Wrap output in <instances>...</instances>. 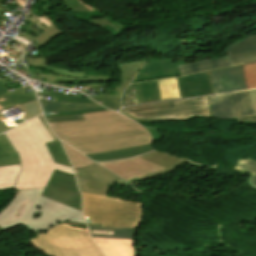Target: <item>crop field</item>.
Listing matches in <instances>:
<instances>
[{"mask_svg":"<svg viewBox=\"0 0 256 256\" xmlns=\"http://www.w3.org/2000/svg\"><path fill=\"white\" fill-rule=\"evenodd\" d=\"M209 98L214 118L231 116L226 94L216 95V98H213L212 95Z\"/></svg>","mask_w":256,"mask_h":256,"instance_id":"obj_27","label":"crop field"},{"mask_svg":"<svg viewBox=\"0 0 256 256\" xmlns=\"http://www.w3.org/2000/svg\"><path fill=\"white\" fill-rule=\"evenodd\" d=\"M83 117L49 125L59 139L84 155L153 143L147 130L112 110Z\"/></svg>","mask_w":256,"mask_h":256,"instance_id":"obj_1","label":"crop field"},{"mask_svg":"<svg viewBox=\"0 0 256 256\" xmlns=\"http://www.w3.org/2000/svg\"><path fill=\"white\" fill-rule=\"evenodd\" d=\"M42 68L46 69L50 73L45 75V73H40V70L35 69L33 71H36L37 73L31 78L32 80L51 83L53 80L59 81L65 79L67 83L76 85L87 83L91 88L108 87L107 82L112 80V76L85 75V72H73L68 69L56 68L51 65H46Z\"/></svg>","mask_w":256,"mask_h":256,"instance_id":"obj_11","label":"crop field"},{"mask_svg":"<svg viewBox=\"0 0 256 256\" xmlns=\"http://www.w3.org/2000/svg\"><path fill=\"white\" fill-rule=\"evenodd\" d=\"M177 75H180L178 70L162 72V73H155V74H148V75H140V76H136V78L134 79V81L132 83L142 81V80L155 79V78H161V77H169V76H177Z\"/></svg>","mask_w":256,"mask_h":256,"instance_id":"obj_37","label":"crop field"},{"mask_svg":"<svg viewBox=\"0 0 256 256\" xmlns=\"http://www.w3.org/2000/svg\"><path fill=\"white\" fill-rule=\"evenodd\" d=\"M9 84H11V81H9V82L6 83V85H9Z\"/></svg>","mask_w":256,"mask_h":256,"instance_id":"obj_50","label":"crop field"},{"mask_svg":"<svg viewBox=\"0 0 256 256\" xmlns=\"http://www.w3.org/2000/svg\"><path fill=\"white\" fill-rule=\"evenodd\" d=\"M249 89L256 88V62L244 64Z\"/></svg>","mask_w":256,"mask_h":256,"instance_id":"obj_36","label":"crop field"},{"mask_svg":"<svg viewBox=\"0 0 256 256\" xmlns=\"http://www.w3.org/2000/svg\"><path fill=\"white\" fill-rule=\"evenodd\" d=\"M179 81L182 98L212 94L207 72L180 77Z\"/></svg>","mask_w":256,"mask_h":256,"instance_id":"obj_15","label":"crop field"},{"mask_svg":"<svg viewBox=\"0 0 256 256\" xmlns=\"http://www.w3.org/2000/svg\"><path fill=\"white\" fill-rule=\"evenodd\" d=\"M5 134L22 159L23 171L13 189L45 187L54 169L73 173L71 167L53 162L44 144L53 138L38 117Z\"/></svg>","mask_w":256,"mask_h":256,"instance_id":"obj_2","label":"crop field"},{"mask_svg":"<svg viewBox=\"0 0 256 256\" xmlns=\"http://www.w3.org/2000/svg\"><path fill=\"white\" fill-rule=\"evenodd\" d=\"M235 168H239L256 174V160L250 158H247L246 161L238 159Z\"/></svg>","mask_w":256,"mask_h":256,"instance_id":"obj_38","label":"crop field"},{"mask_svg":"<svg viewBox=\"0 0 256 256\" xmlns=\"http://www.w3.org/2000/svg\"><path fill=\"white\" fill-rule=\"evenodd\" d=\"M62 144H63L71 162H72L73 169L87 167L88 165L94 163L91 160L84 157L82 154H80L75 149L66 145L65 143L62 142Z\"/></svg>","mask_w":256,"mask_h":256,"instance_id":"obj_32","label":"crop field"},{"mask_svg":"<svg viewBox=\"0 0 256 256\" xmlns=\"http://www.w3.org/2000/svg\"><path fill=\"white\" fill-rule=\"evenodd\" d=\"M8 10H9L8 8H6L5 6L0 4V12H2V13L7 12L8 13L9 12Z\"/></svg>","mask_w":256,"mask_h":256,"instance_id":"obj_48","label":"crop field"},{"mask_svg":"<svg viewBox=\"0 0 256 256\" xmlns=\"http://www.w3.org/2000/svg\"><path fill=\"white\" fill-rule=\"evenodd\" d=\"M149 133L152 135L154 141L161 140L162 136L158 130H149Z\"/></svg>","mask_w":256,"mask_h":256,"instance_id":"obj_45","label":"crop field"},{"mask_svg":"<svg viewBox=\"0 0 256 256\" xmlns=\"http://www.w3.org/2000/svg\"><path fill=\"white\" fill-rule=\"evenodd\" d=\"M79 119H83L82 115L46 118L48 123L61 122V121H70V120H79Z\"/></svg>","mask_w":256,"mask_h":256,"instance_id":"obj_40","label":"crop field"},{"mask_svg":"<svg viewBox=\"0 0 256 256\" xmlns=\"http://www.w3.org/2000/svg\"><path fill=\"white\" fill-rule=\"evenodd\" d=\"M3 18H5V16L0 15V21H1Z\"/></svg>","mask_w":256,"mask_h":256,"instance_id":"obj_49","label":"crop field"},{"mask_svg":"<svg viewBox=\"0 0 256 256\" xmlns=\"http://www.w3.org/2000/svg\"><path fill=\"white\" fill-rule=\"evenodd\" d=\"M99 164L127 182L132 178H137L141 181L171 171V169L150 163L138 157L120 161L101 162Z\"/></svg>","mask_w":256,"mask_h":256,"instance_id":"obj_8","label":"crop field"},{"mask_svg":"<svg viewBox=\"0 0 256 256\" xmlns=\"http://www.w3.org/2000/svg\"><path fill=\"white\" fill-rule=\"evenodd\" d=\"M91 237L106 256H135L137 228L89 227Z\"/></svg>","mask_w":256,"mask_h":256,"instance_id":"obj_7","label":"crop field"},{"mask_svg":"<svg viewBox=\"0 0 256 256\" xmlns=\"http://www.w3.org/2000/svg\"><path fill=\"white\" fill-rule=\"evenodd\" d=\"M41 13L44 16L38 17L36 19L39 21V23L43 22L44 24H46L49 27V29L34 40L39 45H41V44L45 45V44L49 43L51 40H53L54 38L60 36L61 34L65 33V32H63L60 28H58L52 22L51 18L46 17V15L43 13V11H41Z\"/></svg>","mask_w":256,"mask_h":256,"instance_id":"obj_25","label":"crop field"},{"mask_svg":"<svg viewBox=\"0 0 256 256\" xmlns=\"http://www.w3.org/2000/svg\"><path fill=\"white\" fill-rule=\"evenodd\" d=\"M249 185L256 189V175H251L249 178Z\"/></svg>","mask_w":256,"mask_h":256,"instance_id":"obj_46","label":"crop field"},{"mask_svg":"<svg viewBox=\"0 0 256 256\" xmlns=\"http://www.w3.org/2000/svg\"><path fill=\"white\" fill-rule=\"evenodd\" d=\"M232 116L253 114L248 90L227 94Z\"/></svg>","mask_w":256,"mask_h":256,"instance_id":"obj_18","label":"crop field"},{"mask_svg":"<svg viewBox=\"0 0 256 256\" xmlns=\"http://www.w3.org/2000/svg\"><path fill=\"white\" fill-rule=\"evenodd\" d=\"M120 113L136 122L212 117L208 96L126 107Z\"/></svg>","mask_w":256,"mask_h":256,"instance_id":"obj_6","label":"crop field"},{"mask_svg":"<svg viewBox=\"0 0 256 256\" xmlns=\"http://www.w3.org/2000/svg\"><path fill=\"white\" fill-rule=\"evenodd\" d=\"M78 188L81 192L107 196L108 185L77 178Z\"/></svg>","mask_w":256,"mask_h":256,"instance_id":"obj_30","label":"crop field"},{"mask_svg":"<svg viewBox=\"0 0 256 256\" xmlns=\"http://www.w3.org/2000/svg\"><path fill=\"white\" fill-rule=\"evenodd\" d=\"M136 85L140 104L159 101L154 81Z\"/></svg>","mask_w":256,"mask_h":256,"instance_id":"obj_29","label":"crop field"},{"mask_svg":"<svg viewBox=\"0 0 256 256\" xmlns=\"http://www.w3.org/2000/svg\"><path fill=\"white\" fill-rule=\"evenodd\" d=\"M249 92H250V98H251L253 112H254V114H256V89L249 90Z\"/></svg>","mask_w":256,"mask_h":256,"instance_id":"obj_43","label":"crop field"},{"mask_svg":"<svg viewBox=\"0 0 256 256\" xmlns=\"http://www.w3.org/2000/svg\"><path fill=\"white\" fill-rule=\"evenodd\" d=\"M76 176L106 183L108 185L114 184L116 176L110 174L104 168L97 164H92L87 168L74 170Z\"/></svg>","mask_w":256,"mask_h":256,"instance_id":"obj_19","label":"crop field"},{"mask_svg":"<svg viewBox=\"0 0 256 256\" xmlns=\"http://www.w3.org/2000/svg\"><path fill=\"white\" fill-rule=\"evenodd\" d=\"M226 53L232 65L256 61V35L228 45Z\"/></svg>","mask_w":256,"mask_h":256,"instance_id":"obj_14","label":"crop field"},{"mask_svg":"<svg viewBox=\"0 0 256 256\" xmlns=\"http://www.w3.org/2000/svg\"><path fill=\"white\" fill-rule=\"evenodd\" d=\"M40 7L46 14H50V8L52 6V2L49 0H39ZM64 7L66 10L72 11H92L93 9L89 8L85 5L81 0H63Z\"/></svg>","mask_w":256,"mask_h":256,"instance_id":"obj_31","label":"crop field"},{"mask_svg":"<svg viewBox=\"0 0 256 256\" xmlns=\"http://www.w3.org/2000/svg\"><path fill=\"white\" fill-rule=\"evenodd\" d=\"M30 242L48 256H104L87 229L71 227L66 224L45 232Z\"/></svg>","mask_w":256,"mask_h":256,"instance_id":"obj_5","label":"crop field"},{"mask_svg":"<svg viewBox=\"0 0 256 256\" xmlns=\"http://www.w3.org/2000/svg\"><path fill=\"white\" fill-rule=\"evenodd\" d=\"M43 190H20L0 212V227L22 224L39 235L67 220L85 224L81 211L40 196Z\"/></svg>","mask_w":256,"mask_h":256,"instance_id":"obj_3","label":"crop field"},{"mask_svg":"<svg viewBox=\"0 0 256 256\" xmlns=\"http://www.w3.org/2000/svg\"><path fill=\"white\" fill-rule=\"evenodd\" d=\"M44 113L58 112V111H71V110H85L100 108L96 104H74V103H60L52 101H40Z\"/></svg>","mask_w":256,"mask_h":256,"instance_id":"obj_21","label":"crop field"},{"mask_svg":"<svg viewBox=\"0 0 256 256\" xmlns=\"http://www.w3.org/2000/svg\"><path fill=\"white\" fill-rule=\"evenodd\" d=\"M160 101L181 98L178 78L155 81Z\"/></svg>","mask_w":256,"mask_h":256,"instance_id":"obj_20","label":"crop field"},{"mask_svg":"<svg viewBox=\"0 0 256 256\" xmlns=\"http://www.w3.org/2000/svg\"><path fill=\"white\" fill-rule=\"evenodd\" d=\"M103 110H108V109L100 108V109L85 110V111H72V112L48 113V114H44V115H45V117L63 116V115H76V114H85V113H91V112H97V111H103Z\"/></svg>","mask_w":256,"mask_h":256,"instance_id":"obj_39","label":"crop field"},{"mask_svg":"<svg viewBox=\"0 0 256 256\" xmlns=\"http://www.w3.org/2000/svg\"><path fill=\"white\" fill-rule=\"evenodd\" d=\"M27 60H28L29 66L38 67V66H42V65H46L47 64L45 57H43V58H36V59H31V57H27Z\"/></svg>","mask_w":256,"mask_h":256,"instance_id":"obj_41","label":"crop field"},{"mask_svg":"<svg viewBox=\"0 0 256 256\" xmlns=\"http://www.w3.org/2000/svg\"><path fill=\"white\" fill-rule=\"evenodd\" d=\"M47 94L44 93H37V95H44V96H55L54 101H60V102H74V103H95L90 99L86 98H78L70 95H64V94H59V93H54V92H49L46 91Z\"/></svg>","mask_w":256,"mask_h":256,"instance_id":"obj_34","label":"crop field"},{"mask_svg":"<svg viewBox=\"0 0 256 256\" xmlns=\"http://www.w3.org/2000/svg\"><path fill=\"white\" fill-rule=\"evenodd\" d=\"M208 73L213 94L248 89L243 64Z\"/></svg>","mask_w":256,"mask_h":256,"instance_id":"obj_12","label":"crop field"},{"mask_svg":"<svg viewBox=\"0 0 256 256\" xmlns=\"http://www.w3.org/2000/svg\"><path fill=\"white\" fill-rule=\"evenodd\" d=\"M39 119L42 121V123L44 124V126L47 128V130L49 131V133L51 134V136L54 138L55 141L50 142V143H46V146L54 160V162L56 163H60V164H64L67 166H71L66 154L63 150V147L60 143V141L57 139V137L51 132V130L49 129V127L47 126L44 118L42 115L38 116ZM51 143H53V145H51ZM72 167V166H71Z\"/></svg>","mask_w":256,"mask_h":256,"instance_id":"obj_22","label":"crop field"},{"mask_svg":"<svg viewBox=\"0 0 256 256\" xmlns=\"http://www.w3.org/2000/svg\"><path fill=\"white\" fill-rule=\"evenodd\" d=\"M4 232L1 228H0V233Z\"/></svg>","mask_w":256,"mask_h":256,"instance_id":"obj_51","label":"crop field"},{"mask_svg":"<svg viewBox=\"0 0 256 256\" xmlns=\"http://www.w3.org/2000/svg\"><path fill=\"white\" fill-rule=\"evenodd\" d=\"M237 123H252L256 124V115L236 117Z\"/></svg>","mask_w":256,"mask_h":256,"instance_id":"obj_42","label":"crop field"},{"mask_svg":"<svg viewBox=\"0 0 256 256\" xmlns=\"http://www.w3.org/2000/svg\"><path fill=\"white\" fill-rule=\"evenodd\" d=\"M85 21L90 24L101 26L103 28H105L106 24L114 27L115 29V34L113 35L114 38L118 37L122 33L123 29H126L128 27V26L124 27L123 25L114 22L110 18H96V19H88Z\"/></svg>","mask_w":256,"mask_h":256,"instance_id":"obj_33","label":"crop field"},{"mask_svg":"<svg viewBox=\"0 0 256 256\" xmlns=\"http://www.w3.org/2000/svg\"><path fill=\"white\" fill-rule=\"evenodd\" d=\"M174 69H177V68L172 58L156 59V60L148 61V63L143 66L142 70L138 73V75L162 72V71H168V70H174Z\"/></svg>","mask_w":256,"mask_h":256,"instance_id":"obj_26","label":"crop field"},{"mask_svg":"<svg viewBox=\"0 0 256 256\" xmlns=\"http://www.w3.org/2000/svg\"><path fill=\"white\" fill-rule=\"evenodd\" d=\"M5 82L0 79V95L5 94L7 92V89L4 87Z\"/></svg>","mask_w":256,"mask_h":256,"instance_id":"obj_47","label":"crop field"},{"mask_svg":"<svg viewBox=\"0 0 256 256\" xmlns=\"http://www.w3.org/2000/svg\"><path fill=\"white\" fill-rule=\"evenodd\" d=\"M145 62L146 61L119 65L121 85L116 87L117 94L92 96L90 98H92L93 100L99 102L100 104L112 110H118L121 107L120 101H119L121 94L126 89V87L130 83V81L133 79V77L136 75L139 68Z\"/></svg>","mask_w":256,"mask_h":256,"instance_id":"obj_13","label":"crop field"},{"mask_svg":"<svg viewBox=\"0 0 256 256\" xmlns=\"http://www.w3.org/2000/svg\"><path fill=\"white\" fill-rule=\"evenodd\" d=\"M138 157H141L150 162H153V163H156V164H159V165L171 168V169L176 168L180 163H182L184 161L183 159H181L179 157L160 153V152H151L149 154L141 155Z\"/></svg>","mask_w":256,"mask_h":256,"instance_id":"obj_24","label":"crop field"},{"mask_svg":"<svg viewBox=\"0 0 256 256\" xmlns=\"http://www.w3.org/2000/svg\"><path fill=\"white\" fill-rule=\"evenodd\" d=\"M19 159V160H18ZM20 164V158L4 134L0 135V166Z\"/></svg>","mask_w":256,"mask_h":256,"instance_id":"obj_23","label":"crop field"},{"mask_svg":"<svg viewBox=\"0 0 256 256\" xmlns=\"http://www.w3.org/2000/svg\"><path fill=\"white\" fill-rule=\"evenodd\" d=\"M20 169V165L0 167V189L12 188Z\"/></svg>","mask_w":256,"mask_h":256,"instance_id":"obj_28","label":"crop field"},{"mask_svg":"<svg viewBox=\"0 0 256 256\" xmlns=\"http://www.w3.org/2000/svg\"><path fill=\"white\" fill-rule=\"evenodd\" d=\"M42 196L81 210V195L73 174L55 170Z\"/></svg>","mask_w":256,"mask_h":256,"instance_id":"obj_10","label":"crop field"},{"mask_svg":"<svg viewBox=\"0 0 256 256\" xmlns=\"http://www.w3.org/2000/svg\"><path fill=\"white\" fill-rule=\"evenodd\" d=\"M231 65L227 56L217 59L205 60L193 62L185 65H178L177 68L182 75L204 71V70H213L225 66Z\"/></svg>","mask_w":256,"mask_h":256,"instance_id":"obj_16","label":"crop field"},{"mask_svg":"<svg viewBox=\"0 0 256 256\" xmlns=\"http://www.w3.org/2000/svg\"><path fill=\"white\" fill-rule=\"evenodd\" d=\"M121 103L124 106L139 104L135 84H131L123 94Z\"/></svg>","mask_w":256,"mask_h":256,"instance_id":"obj_35","label":"crop field"},{"mask_svg":"<svg viewBox=\"0 0 256 256\" xmlns=\"http://www.w3.org/2000/svg\"><path fill=\"white\" fill-rule=\"evenodd\" d=\"M83 210L88 226L137 227L141 203L117 198L82 194Z\"/></svg>","mask_w":256,"mask_h":256,"instance_id":"obj_4","label":"crop field"},{"mask_svg":"<svg viewBox=\"0 0 256 256\" xmlns=\"http://www.w3.org/2000/svg\"><path fill=\"white\" fill-rule=\"evenodd\" d=\"M154 150L152 144L122 150H116L111 152L99 153L94 155H88V157L92 158L95 161H107V160H116L129 158L133 156H137L140 154H144Z\"/></svg>","mask_w":256,"mask_h":256,"instance_id":"obj_17","label":"crop field"},{"mask_svg":"<svg viewBox=\"0 0 256 256\" xmlns=\"http://www.w3.org/2000/svg\"><path fill=\"white\" fill-rule=\"evenodd\" d=\"M0 14H2V13H0ZM3 15V14H2Z\"/></svg>","mask_w":256,"mask_h":256,"instance_id":"obj_52","label":"crop field"},{"mask_svg":"<svg viewBox=\"0 0 256 256\" xmlns=\"http://www.w3.org/2000/svg\"><path fill=\"white\" fill-rule=\"evenodd\" d=\"M16 41V40H15ZM11 45V47L13 48V49H15L18 53L17 54H15V56H16V58H17V56L20 54V52L23 50V48L26 46V45H24V44H22V43H20V42H18V41H16V42H14V43H12V44H10Z\"/></svg>","mask_w":256,"mask_h":256,"instance_id":"obj_44","label":"crop field"},{"mask_svg":"<svg viewBox=\"0 0 256 256\" xmlns=\"http://www.w3.org/2000/svg\"><path fill=\"white\" fill-rule=\"evenodd\" d=\"M30 88L31 86L0 96V111L12 108L13 106L17 105L25 114L22 115L24 120H28L40 114L42 110L36 100L34 92L26 95H24L22 92ZM17 121L21 123L23 122L21 117H16L8 121L0 113V133L5 132L6 130L16 126L17 124L15 122Z\"/></svg>","mask_w":256,"mask_h":256,"instance_id":"obj_9","label":"crop field"}]
</instances>
